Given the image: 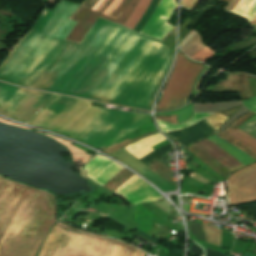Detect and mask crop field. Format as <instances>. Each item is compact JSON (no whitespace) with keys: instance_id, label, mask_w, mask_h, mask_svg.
Listing matches in <instances>:
<instances>
[{"instance_id":"obj_31","label":"crop field","mask_w":256,"mask_h":256,"mask_svg":"<svg viewBox=\"0 0 256 256\" xmlns=\"http://www.w3.org/2000/svg\"><path fill=\"white\" fill-rule=\"evenodd\" d=\"M196 2H197V0H190L188 8L193 9L195 4H196Z\"/></svg>"},{"instance_id":"obj_20","label":"crop field","mask_w":256,"mask_h":256,"mask_svg":"<svg viewBox=\"0 0 256 256\" xmlns=\"http://www.w3.org/2000/svg\"><path fill=\"white\" fill-rule=\"evenodd\" d=\"M238 128L256 138V115L241 124Z\"/></svg>"},{"instance_id":"obj_3","label":"crop field","mask_w":256,"mask_h":256,"mask_svg":"<svg viewBox=\"0 0 256 256\" xmlns=\"http://www.w3.org/2000/svg\"><path fill=\"white\" fill-rule=\"evenodd\" d=\"M202 67L201 64L190 62L179 52L174 71L157 110L173 109L186 103Z\"/></svg>"},{"instance_id":"obj_26","label":"crop field","mask_w":256,"mask_h":256,"mask_svg":"<svg viewBox=\"0 0 256 256\" xmlns=\"http://www.w3.org/2000/svg\"><path fill=\"white\" fill-rule=\"evenodd\" d=\"M175 28H176V26L165 36L163 41L170 43V44L174 41Z\"/></svg>"},{"instance_id":"obj_10","label":"crop field","mask_w":256,"mask_h":256,"mask_svg":"<svg viewBox=\"0 0 256 256\" xmlns=\"http://www.w3.org/2000/svg\"><path fill=\"white\" fill-rule=\"evenodd\" d=\"M196 145H198L202 150H204L207 154H209L231 172L244 166L230 154L223 151L207 139L196 143Z\"/></svg>"},{"instance_id":"obj_4","label":"crop field","mask_w":256,"mask_h":256,"mask_svg":"<svg viewBox=\"0 0 256 256\" xmlns=\"http://www.w3.org/2000/svg\"><path fill=\"white\" fill-rule=\"evenodd\" d=\"M229 198L231 205L256 200V163L229 177Z\"/></svg>"},{"instance_id":"obj_13","label":"crop field","mask_w":256,"mask_h":256,"mask_svg":"<svg viewBox=\"0 0 256 256\" xmlns=\"http://www.w3.org/2000/svg\"><path fill=\"white\" fill-rule=\"evenodd\" d=\"M151 0H139L132 15L129 17V19L125 22L124 26L134 29V27L137 25L140 17L143 15V13L146 11L149 3Z\"/></svg>"},{"instance_id":"obj_29","label":"crop field","mask_w":256,"mask_h":256,"mask_svg":"<svg viewBox=\"0 0 256 256\" xmlns=\"http://www.w3.org/2000/svg\"><path fill=\"white\" fill-rule=\"evenodd\" d=\"M240 0H232L226 7L225 9H228L230 11L233 10V8L237 5V3L239 2Z\"/></svg>"},{"instance_id":"obj_28","label":"crop field","mask_w":256,"mask_h":256,"mask_svg":"<svg viewBox=\"0 0 256 256\" xmlns=\"http://www.w3.org/2000/svg\"><path fill=\"white\" fill-rule=\"evenodd\" d=\"M255 16H256V3L253 6V8L251 9L249 15L247 16V19H249L251 22Z\"/></svg>"},{"instance_id":"obj_5","label":"crop field","mask_w":256,"mask_h":256,"mask_svg":"<svg viewBox=\"0 0 256 256\" xmlns=\"http://www.w3.org/2000/svg\"><path fill=\"white\" fill-rule=\"evenodd\" d=\"M114 193L122 195L128 202L136 205L140 202L161 200L159 193L137 176H132Z\"/></svg>"},{"instance_id":"obj_21","label":"crop field","mask_w":256,"mask_h":256,"mask_svg":"<svg viewBox=\"0 0 256 256\" xmlns=\"http://www.w3.org/2000/svg\"><path fill=\"white\" fill-rule=\"evenodd\" d=\"M137 0H131L129 4L126 6L125 10L121 14V16L116 20V23L123 25L124 22L128 19L130 16Z\"/></svg>"},{"instance_id":"obj_34","label":"crop field","mask_w":256,"mask_h":256,"mask_svg":"<svg viewBox=\"0 0 256 256\" xmlns=\"http://www.w3.org/2000/svg\"><path fill=\"white\" fill-rule=\"evenodd\" d=\"M251 25H253L254 27H256V17H255L254 20L252 21Z\"/></svg>"},{"instance_id":"obj_8","label":"crop field","mask_w":256,"mask_h":256,"mask_svg":"<svg viewBox=\"0 0 256 256\" xmlns=\"http://www.w3.org/2000/svg\"><path fill=\"white\" fill-rule=\"evenodd\" d=\"M112 1L113 0H109L108 3L106 4V6L99 13L93 12L91 10H88V9L82 7L81 10L73 18V20H75L79 23L74 28V30L70 33V35L67 37L66 40L79 43L81 38L88 31V29L91 27V25L94 23V21L97 19L98 16L115 22V19H112L108 16L101 14L109 6V4Z\"/></svg>"},{"instance_id":"obj_27","label":"crop field","mask_w":256,"mask_h":256,"mask_svg":"<svg viewBox=\"0 0 256 256\" xmlns=\"http://www.w3.org/2000/svg\"><path fill=\"white\" fill-rule=\"evenodd\" d=\"M197 32L191 31L179 44V47L181 48L184 44H186Z\"/></svg>"},{"instance_id":"obj_18","label":"crop field","mask_w":256,"mask_h":256,"mask_svg":"<svg viewBox=\"0 0 256 256\" xmlns=\"http://www.w3.org/2000/svg\"><path fill=\"white\" fill-rule=\"evenodd\" d=\"M173 114H177V123L190 119L191 116L193 115V105L191 104L185 108H182L174 112L157 113L155 115H173Z\"/></svg>"},{"instance_id":"obj_25","label":"crop field","mask_w":256,"mask_h":256,"mask_svg":"<svg viewBox=\"0 0 256 256\" xmlns=\"http://www.w3.org/2000/svg\"><path fill=\"white\" fill-rule=\"evenodd\" d=\"M98 0H84V2L78 7V9L69 17L70 19L73 18V16L76 14V12L82 7H86L91 9L93 5L97 2Z\"/></svg>"},{"instance_id":"obj_6","label":"crop field","mask_w":256,"mask_h":256,"mask_svg":"<svg viewBox=\"0 0 256 256\" xmlns=\"http://www.w3.org/2000/svg\"><path fill=\"white\" fill-rule=\"evenodd\" d=\"M176 2L175 0H161L159 5L156 7L152 17L147 22L145 27L140 31V33L146 35L149 30L158 22V20L164 16L169 18V16L172 14V12L176 8ZM162 17L159 22L150 30V32L147 34V36L152 37L155 32L164 24V22L167 20V18ZM173 28V26L164 24L157 33L153 36V38H157L162 40L164 36Z\"/></svg>"},{"instance_id":"obj_7","label":"crop field","mask_w":256,"mask_h":256,"mask_svg":"<svg viewBox=\"0 0 256 256\" xmlns=\"http://www.w3.org/2000/svg\"><path fill=\"white\" fill-rule=\"evenodd\" d=\"M112 163L113 162H111L101 156H96L85 165V175L89 179L93 180L102 171H104L107 167H109ZM121 169H122V167H120L114 163L93 181H95L99 185L103 186L107 181H109Z\"/></svg>"},{"instance_id":"obj_2","label":"crop field","mask_w":256,"mask_h":256,"mask_svg":"<svg viewBox=\"0 0 256 256\" xmlns=\"http://www.w3.org/2000/svg\"><path fill=\"white\" fill-rule=\"evenodd\" d=\"M127 244L60 222L54 226L38 256H145Z\"/></svg>"},{"instance_id":"obj_16","label":"crop field","mask_w":256,"mask_h":256,"mask_svg":"<svg viewBox=\"0 0 256 256\" xmlns=\"http://www.w3.org/2000/svg\"><path fill=\"white\" fill-rule=\"evenodd\" d=\"M203 227L207 242L220 246L221 229L205 225Z\"/></svg>"},{"instance_id":"obj_19","label":"crop field","mask_w":256,"mask_h":256,"mask_svg":"<svg viewBox=\"0 0 256 256\" xmlns=\"http://www.w3.org/2000/svg\"><path fill=\"white\" fill-rule=\"evenodd\" d=\"M255 1L256 0H241L234 8L233 12L246 17Z\"/></svg>"},{"instance_id":"obj_33","label":"crop field","mask_w":256,"mask_h":256,"mask_svg":"<svg viewBox=\"0 0 256 256\" xmlns=\"http://www.w3.org/2000/svg\"><path fill=\"white\" fill-rule=\"evenodd\" d=\"M103 0H99L98 3L92 8L93 10H95L97 8V6L102 2Z\"/></svg>"},{"instance_id":"obj_24","label":"crop field","mask_w":256,"mask_h":256,"mask_svg":"<svg viewBox=\"0 0 256 256\" xmlns=\"http://www.w3.org/2000/svg\"><path fill=\"white\" fill-rule=\"evenodd\" d=\"M210 70V68L205 67V69L203 70V72L201 73V75L198 77V79L196 80V85L194 88V92L193 95H195L200 87L201 81L203 79V77L207 74V72Z\"/></svg>"},{"instance_id":"obj_17","label":"crop field","mask_w":256,"mask_h":256,"mask_svg":"<svg viewBox=\"0 0 256 256\" xmlns=\"http://www.w3.org/2000/svg\"><path fill=\"white\" fill-rule=\"evenodd\" d=\"M229 135L233 136L234 138L238 139L239 141L245 143L246 145L250 146L256 151V139L251 137L250 135L246 134L240 129L234 130Z\"/></svg>"},{"instance_id":"obj_11","label":"crop field","mask_w":256,"mask_h":256,"mask_svg":"<svg viewBox=\"0 0 256 256\" xmlns=\"http://www.w3.org/2000/svg\"><path fill=\"white\" fill-rule=\"evenodd\" d=\"M166 140L159 133L147 136L131 145L124 147L129 153H131L138 160L151 153L150 147Z\"/></svg>"},{"instance_id":"obj_15","label":"crop field","mask_w":256,"mask_h":256,"mask_svg":"<svg viewBox=\"0 0 256 256\" xmlns=\"http://www.w3.org/2000/svg\"><path fill=\"white\" fill-rule=\"evenodd\" d=\"M129 1L130 0H114L103 14L117 19Z\"/></svg>"},{"instance_id":"obj_1","label":"crop field","mask_w":256,"mask_h":256,"mask_svg":"<svg viewBox=\"0 0 256 256\" xmlns=\"http://www.w3.org/2000/svg\"><path fill=\"white\" fill-rule=\"evenodd\" d=\"M40 192L0 177V231L34 240L50 212L34 241L0 232V256L36 255L56 221L55 198L43 191L39 197Z\"/></svg>"},{"instance_id":"obj_22","label":"crop field","mask_w":256,"mask_h":256,"mask_svg":"<svg viewBox=\"0 0 256 256\" xmlns=\"http://www.w3.org/2000/svg\"><path fill=\"white\" fill-rule=\"evenodd\" d=\"M216 52L205 47L204 49H202L200 52H198L197 54H195L193 57H191V59L193 60H199V61H206L208 58H210L213 54H215Z\"/></svg>"},{"instance_id":"obj_32","label":"crop field","mask_w":256,"mask_h":256,"mask_svg":"<svg viewBox=\"0 0 256 256\" xmlns=\"http://www.w3.org/2000/svg\"><path fill=\"white\" fill-rule=\"evenodd\" d=\"M189 0H183L181 5L187 7Z\"/></svg>"},{"instance_id":"obj_35","label":"crop field","mask_w":256,"mask_h":256,"mask_svg":"<svg viewBox=\"0 0 256 256\" xmlns=\"http://www.w3.org/2000/svg\"><path fill=\"white\" fill-rule=\"evenodd\" d=\"M222 1L229 3L231 0H222Z\"/></svg>"},{"instance_id":"obj_30","label":"crop field","mask_w":256,"mask_h":256,"mask_svg":"<svg viewBox=\"0 0 256 256\" xmlns=\"http://www.w3.org/2000/svg\"><path fill=\"white\" fill-rule=\"evenodd\" d=\"M108 0H104L100 5L99 7L96 9L97 12H99L104 6L105 4L107 3Z\"/></svg>"},{"instance_id":"obj_9","label":"crop field","mask_w":256,"mask_h":256,"mask_svg":"<svg viewBox=\"0 0 256 256\" xmlns=\"http://www.w3.org/2000/svg\"><path fill=\"white\" fill-rule=\"evenodd\" d=\"M210 114H212V113H194L193 117L190 120H188L184 123H181V124H176V125L170 124V123H167L164 121H160L157 119L156 120H157V123H158L160 129L163 132H169V131H173V130H177V129H181V128H187V127L195 124L196 122L204 119L205 117L209 116ZM227 118L228 117H226L220 113H214L205 119L212 126V128L214 130H217Z\"/></svg>"},{"instance_id":"obj_23","label":"crop field","mask_w":256,"mask_h":256,"mask_svg":"<svg viewBox=\"0 0 256 256\" xmlns=\"http://www.w3.org/2000/svg\"><path fill=\"white\" fill-rule=\"evenodd\" d=\"M247 108L256 113V97L250 98L242 102Z\"/></svg>"},{"instance_id":"obj_12","label":"crop field","mask_w":256,"mask_h":256,"mask_svg":"<svg viewBox=\"0 0 256 256\" xmlns=\"http://www.w3.org/2000/svg\"><path fill=\"white\" fill-rule=\"evenodd\" d=\"M207 139H209L210 141L215 143L220 148L226 150L228 153H230L233 157H235L237 160H239L244 165L256 161L252 157H250L248 154L243 152L242 150L238 149L234 145L224 141L223 139H221L215 135H213Z\"/></svg>"},{"instance_id":"obj_14","label":"crop field","mask_w":256,"mask_h":256,"mask_svg":"<svg viewBox=\"0 0 256 256\" xmlns=\"http://www.w3.org/2000/svg\"><path fill=\"white\" fill-rule=\"evenodd\" d=\"M204 46L200 36L198 33L181 49L188 56L191 57L199 50H201Z\"/></svg>"}]
</instances>
